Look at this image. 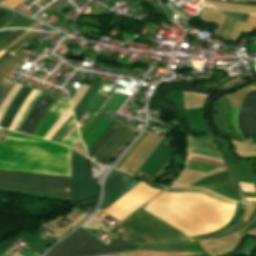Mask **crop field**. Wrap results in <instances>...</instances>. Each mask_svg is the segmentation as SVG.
Here are the masks:
<instances>
[{"label":"crop field","instance_id":"8a807250","mask_svg":"<svg viewBox=\"0 0 256 256\" xmlns=\"http://www.w3.org/2000/svg\"><path fill=\"white\" fill-rule=\"evenodd\" d=\"M0 169L70 177V149L8 131L0 144Z\"/></svg>","mask_w":256,"mask_h":256},{"label":"crop field","instance_id":"ac0d7876","mask_svg":"<svg viewBox=\"0 0 256 256\" xmlns=\"http://www.w3.org/2000/svg\"><path fill=\"white\" fill-rule=\"evenodd\" d=\"M162 193L199 194L237 208L236 202L218 196L207 190L196 188H164L161 193L154 196L128 218L119 223L120 225L130 230L122 239L132 245H154L191 239L190 237L186 236L185 234L181 233L180 231L176 230L175 228L171 227L162 220L142 209Z\"/></svg>","mask_w":256,"mask_h":256},{"label":"crop field","instance_id":"34b2d1b8","mask_svg":"<svg viewBox=\"0 0 256 256\" xmlns=\"http://www.w3.org/2000/svg\"><path fill=\"white\" fill-rule=\"evenodd\" d=\"M0 187L69 197V178L0 170Z\"/></svg>","mask_w":256,"mask_h":256},{"label":"crop field","instance_id":"412701ff","mask_svg":"<svg viewBox=\"0 0 256 256\" xmlns=\"http://www.w3.org/2000/svg\"><path fill=\"white\" fill-rule=\"evenodd\" d=\"M130 246L132 245L120 238L106 245L96 240L95 237L82 228H79L68 238L52 248L46 256H87L122 250Z\"/></svg>","mask_w":256,"mask_h":256},{"label":"crop field","instance_id":"f4fd0767","mask_svg":"<svg viewBox=\"0 0 256 256\" xmlns=\"http://www.w3.org/2000/svg\"><path fill=\"white\" fill-rule=\"evenodd\" d=\"M97 180L90 177L88 158L71 150V202L98 197Z\"/></svg>","mask_w":256,"mask_h":256},{"label":"crop field","instance_id":"dd49c442","mask_svg":"<svg viewBox=\"0 0 256 256\" xmlns=\"http://www.w3.org/2000/svg\"><path fill=\"white\" fill-rule=\"evenodd\" d=\"M158 192L141 181L103 212L122 221Z\"/></svg>","mask_w":256,"mask_h":256},{"label":"crop field","instance_id":"e52e79f7","mask_svg":"<svg viewBox=\"0 0 256 256\" xmlns=\"http://www.w3.org/2000/svg\"><path fill=\"white\" fill-rule=\"evenodd\" d=\"M137 131L138 129L121 124L116 132L99 148L91 159L108 165L133 138Z\"/></svg>","mask_w":256,"mask_h":256},{"label":"crop field","instance_id":"d8731c3e","mask_svg":"<svg viewBox=\"0 0 256 256\" xmlns=\"http://www.w3.org/2000/svg\"><path fill=\"white\" fill-rule=\"evenodd\" d=\"M240 130L256 139V90L245 97L238 116Z\"/></svg>","mask_w":256,"mask_h":256},{"label":"crop field","instance_id":"5a996713","mask_svg":"<svg viewBox=\"0 0 256 256\" xmlns=\"http://www.w3.org/2000/svg\"><path fill=\"white\" fill-rule=\"evenodd\" d=\"M55 99V96H51L48 94L43 93L41 97L37 100L33 108L31 109L30 113L28 114L25 122L19 129V132L31 135L33 129L35 128L37 122L44 114L46 109Z\"/></svg>","mask_w":256,"mask_h":256},{"label":"crop field","instance_id":"3316defc","mask_svg":"<svg viewBox=\"0 0 256 256\" xmlns=\"http://www.w3.org/2000/svg\"><path fill=\"white\" fill-rule=\"evenodd\" d=\"M187 139L199 142V143H196V142L187 141V151H190V152L195 151V152L219 155V153L216 150L214 144L206 143V142H203V141H200L198 139H195V138H192V137H188V136H187ZM219 159H220L222 164H221V166L219 168H216V169L205 167V166H201V165H197V164H193V163H189V162L186 163L185 167L186 168L195 169V170L210 172V171H213V170L220 169L224 165V163H223L222 159L220 158V156H219ZM188 161H190V160H188Z\"/></svg>","mask_w":256,"mask_h":256},{"label":"crop field","instance_id":"28ad6ade","mask_svg":"<svg viewBox=\"0 0 256 256\" xmlns=\"http://www.w3.org/2000/svg\"><path fill=\"white\" fill-rule=\"evenodd\" d=\"M158 136L147 133L146 136L141 140L137 147L132 153L126 158V160L120 165L118 170L129 171L135 164L143 157L146 151L152 146Z\"/></svg>","mask_w":256,"mask_h":256},{"label":"crop field","instance_id":"d1516ede","mask_svg":"<svg viewBox=\"0 0 256 256\" xmlns=\"http://www.w3.org/2000/svg\"><path fill=\"white\" fill-rule=\"evenodd\" d=\"M30 54L25 50L18 53L6 69L0 74V104L5 99L6 95L13 87L15 82L6 80L10 73Z\"/></svg>","mask_w":256,"mask_h":256},{"label":"crop field","instance_id":"22f410ed","mask_svg":"<svg viewBox=\"0 0 256 256\" xmlns=\"http://www.w3.org/2000/svg\"><path fill=\"white\" fill-rule=\"evenodd\" d=\"M70 107L69 100L65 103L57 101L56 104L52 107L47 117L38 127L34 136L43 138L49 128L53 125V123L61 116V114Z\"/></svg>","mask_w":256,"mask_h":256},{"label":"crop field","instance_id":"cbeb9de0","mask_svg":"<svg viewBox=\"0 0 256 256\" xmlns=\"http://www.w3.org/2000/svg\"><path fill=\"white\" fill-rule=\"evenodd\" d=\"M27 87L23 86L21 88V90L17 93L15 98L13 99L12 103L8 107V109H7L5 115H4V117H3V119L0 123L1 127H4L6 129L9 128V126H10L17 110L19 109L20 105L22 104V102L24 101L26 96L30 93V91L32 90V89L27 88Z\"/></svg>","mask_w":256,"mask_h":256},{"label":"crop field","instance_id":"5142ce71","mask_svg":"<svg viewBox=\"0 0 256 256\" xmlns=\"http://www.w3.org/2000/svg\"><path fill=\"white\" fill-rule=\"evenodd\" d=\"M254 27L256 28V14L251 13L246 23L238 21L236 22L230 39L235 42L236 39L239 37L241 30L251 32Z\"/></svg>","mask_w":256,"mask_h":256},{"label":"crop field","instance_id":"d9b57169","mask_svg":"<svg viewBox=\"0 0 256 256\" xmlns=\"http://www.w3.org/2000/svg\"><path fill=\"white\" fill-rule=\"evenodd\" d=\"M199 17H201L203 21H208V22H213V23H218V24L223 19L221 24L217 28L216 32L214 33V35H216V33L221 28L226 16H224L223 14H221L220 12H218L215 9L204 7L203 10L201 11V13L199 14Z\"/></svg>","mask_w":256,"mask_h":256},{"label":"crop field","instance_id":"733c2abd","mask_svg":"<svg viewBox=\"0 0 256 256\" xmlns=\"http://www.w3.org/2000/svg\"><path fill=\"white\" fill-rule=\"evenodd\" d=\"M204 5L225 8V9H231V10H237V11L256 13V7H253V6L227 4V3L215 2V1H210V0H204Z\"/></svg>","mask_w":256,"mask_h":256},{"label":"crop field","instance_id":"4a817a6b","mask_svg":"<svg viewBox=\"0 0 256 256\" xmlns=\"http://www.w3.org/2000/svg\"><path fill=\"white\" fill-rule=\"evenodd\" d=\"M110 120L102 118L95 129L88 135V137L83 141L86 148H88L100 135V133L105 130L110 123Z\"/></svg>","mask_w":256,"mask_h":256},{"label":"crop field","instance_id":"bc2a9ffb","mask_svg":"<svg viewBox=\"0 0 256 256\" xmlns=\"http://www.w3.org/2000/svg\"><path fill=\"white\" fill-rule=\"evenodd\" d=\"M35 20L24 17L20 14L15 16L12 20L6 23L3 27H24L28 28L31 24H33ZM1 27V28H3Z\"/></svg>","mask_w":256,"mask_h":256},{"label":"crop field","instance_id":"214f88e0","mask_svg":"<svg viewBox=\"0 0 256 256\" xmlns=\"http://www.w3.org/2000/svg\"><path fill=\"white\" fill-rule=\"evenodd\" d=\"M235 22H236L235 20L226 18L221 30L218 32V35L223 36L225 39L228 40Z\"/></svg>","mask_w":256,"mask_h":256},{"label":"crop field","instance_id":"92a150f3","mask_svg":"<svg viewBox=\"0 0 256 256\" xmlns=\"http://www.w3.org/2000/svg\"><path fill=\"white\" fill-rule=\"evenodd\" d=\"M165 140H169V138H165L161 141V143L158 145V147L155 149V151L152 153V155L149 157V159L145 162V164L140 168L141 171H145L146 168L153 162V160L157 157V155L160 153V151L163 149L162 144Z\"/></svg>","mask_w":256,"mask_h":256},{"label":"crop field","instance_id":"dafd665d","mask_svg":"<svg viewBox=\"0 0 256 256\" xmlns=\"http://www.w3.org/2000/svg\"><path fill=\"white\" fill-rule=\"evenodd\" d=\"M220 11H222L226 15H228L236 20L243 21V22L246 21L248 15H249V13L236 12V11H227V10H220Z\"/></svg>","mask_w":256,"mask_h":256},{"label":"crop field","instance_id":"00972430","mask_svg":"<svg viewBox=\"0 0 256 256\" xmlns=\"http://www.w3.org/2000/svg\"><path fill=\"white\" fill-rule=\"evenodd\" d=\"M26 30H17L14 33H12L11 35H9L6 39H4L1 43H0V51L2 50V48L7 45L9 42H11L12 40H14L16 37H18L19 35H21L23 32H25Z\"/></svg>","mask_w":256,"mask_h":256},{"label":"crop field","instance_id":"a9b5d70f","mask_svg":"<svg viewBox=\"0 0 256 256\" xmlns=\"http://www.w3.org/2000/svg\"><path fill=\"white\" fill-rule=\"evenodd\" d=\"M80 139L78 131L76 130L75 132H73L69 138L63 142V144H66L68 146H72L74 143H76L78 140Z\"/></svg>","mask_w":256,"mask_h":256},{"label":"crop field","instance_id":"4177f3b9","mask_svg":"<svg viewBox=\"0 0 256 256\" xmlns=\"http://www.w3.org/2000/svg\"><path fill=\"white\" fill-rule=\"evenodd\" d=\"M216 1L256 6V1H248V0H216Z\"/></svg>","mask_w":256,"mask_h":256},{"label":"crop field","instance_id":"730fd06b","mask_svg":"<svg viewBox=\"0 0 256 256\" xmlns=\"http://www.w3.org/2000/svg\"><path fill=\"white\" fill-rule=\"evenodd\" d=\"M42 94V92L39 91V93L36 95V97L33 99V101L31 102V104L29 105V107L27 108L25 114L23 115L16 131H18L19 127L21 126L22 122L24 121L25 117L27 116L29 110L31 109V107L34 105V103L36 102V100L40 97V95Z\"/></svg>","mask_w":256,"mask_h":256},{"label":"crop field","instance_id":"eef30255","mask_svg":"<svg viewBox=\"0 0 256 256\" xmlns=\"http://www.w3.org/2000/svg\"><path fill=\"white\" fill-rule=\"evenodd\" d=\"M238 110H239V107L230 111L229 114H230V119H231V122H232L235 130L239 134V131H238V128H237V125H236V115H237Z\"/></svg>","mask_w":256,"mask_h":256},{"label":"crop field","instance_id":"ae1a2a85","mask_svg":"<svg viewBox=\"0 0 256 256\" xmlns=\"http://www.w3.org/2000/svg\"><path fill=\"white\" fill-rule=\"evenodd\" d=\"M101 112V109H99L96 116L89 122V124L80 132L81 136L93 125V123L97 120L99 114Z\"/></svg>","mask_w":256,"mask_h":256},{"label":"crop field","instance_id":"d3111659","mask_svg":"<svg viewBox=\"0 0 256 256\" xmlns=\"http://www.w3.org/2000/svg\"><path fill=\"white\" fill-rule=\"evenodd\" d=\"M119 123H117V125L110 131V133L108 134V136L99 144V146L93 151L91 152L88 157L90 158L97 150L98 148L106 141V139L119 127Z\"/></svg>","mask_w":256,"mask_h":256},{"label":"crop field","instance_id":"750c4746","mask_svg":"<svg viewBox=\"0 0 256 256\" xmlns=\"http://www.w3.org/2000/svg\"><path fill=\"white\" fill-rule=\"evenodd\" d=\"M13 12L9 11V10H5V9H0V22L5 19L6 17H8L9 15H11Z\"/></svg>","mask_w":256,"mask_h":256},{"label":"crop field","instance_id":"bd1437ed","mask_svg":"<svg viewBox=\"0 0 256 256\" xmlns=\"http://www.w3.org/2000/svg\"><path fill=\"white\" fill-rule=\"evenodd\" d=\"M74 119L62 130V132L55 138V142L59 140V138L65 133V131L74 123Z\"/></svg>","mask_w":256,"mask_h":256},{"label":"crop field","instance_id":"1d83c4d3","mask_svg":"<svg viewBox=\"0 0 256 256\" xmlns=\"http://www.w3.org/2000/svg\"><path fill=\"white\" fill-rule=\"evenodd\" d=\"M105 113V111L103 110L99 119L95 122V124L86 132V134L81 138L82 141L85 139V137L90 133V131L96 126V124L100 121L101 117L103 116V114Z\"/></svg>","mask_w":256,"mask_h":256},{"label":"crop field","instance_id":"120bbe31","mask_svg":"<svg viewBox=\"0 0 256 256\" xmlns=\"http://www.w3.org/2000/svg\"><path fill=\"white\" fill-rule=\"evenodd\" d=\"M15 30L12 31H4V32H0V42L7 37L9 34H11L12 32H14Z\"/></svg>","mask_w":256,"mask_h":256},{"label":"crop field","instance_id":"d32e631a","mask_svg":"<svg viewBox=\"0 0 256 256\" xmlns=\"http://www.w3.org/2000/svg\"><path fill=\"white\" fill-rule=\"evenodd\" d=\"M22 49H19L5 64L4 66L0 69V73L5 69V67L10 63V61L13 59V57Z\"/></svg>","mask_w":256,"mask_h":256},{"label":"crop field","instance_id":"5866460e","mask_svg":"<svg viewBox=\"0 0 256 256\" xmlns=\"http://www.w3.org/2000/svg\"><path fill=\"white\" fill-rule=\"evenodd\" d=\"M113 123H114V121H112V122L109 124L108 128H109ZM108 128H107V129H108ZM107 129L102 132L101 136L89 147V149L87 150V152L96 144V142L102 137V135L107 131Z\"/></svg>","mask_w":256,"mask_h":256},{"label":"crop field","instance_id":"028f5c9d","mask_svg":"<svg viewBox=\"0 0 256 256\" xmlns=\"http://www.w3.org/2000/svg\"><path fill=\"white\" fill-rule=\"evenodd\" d=\"M40 33L36 32L26 43L29 45Z\"/></svg>","mask_w":256,"mask_h":256},{"label":"crop field","instance_id":"e1f06a70","mask_svg":"<svg viewBox=\"0 0 256 256\" xmlns=\"http://www.w3.org/2000/svg\"><path fill=\"white\" fill-rule=\"evenodd\" d=\"M13 54H9L1 63L0 68L3 66V64L12 56Z\"/></svg>","mask_w":256,"mask_h":256},{"label":"crop field","instance_id":"0bd39190","mask_svg":"<svg viewBox=\"0 0 256 256\" xmlns=\"http://www.w3.org/2000/svg\"><path fill=\"white\" fill-rule=\"evenodd\" d=\"M75 126H76V124H74L73 126H71V127L67 130V132H66L64 135H66L68 132H70ZM64 135H63V136H64ZM63 136H62V137H63ZM62 137H61V139H62ZM61 139H60V140H61ZM60 140H59V141H60ZM59 141H58V143H59Z\"/></svg>","mask_w":256,"mask_h":256},{"label":"crop field","instance_id":"b80d0937","mask_svg":"<svg viewBox=\"0 0 256 256\" xmlns=\"http://www.w3.org/2000/svg\"><path fill=\"white\" fill-rule=\"evenodd\" d=\"M35 32L30 33L28 36H26L24 39L25 42L34 34Z\"/></svg>","mask_w":256,"mask_h":256},{"label":"crop field","instance_id":"c035e120","mask_svg":"<svg viewBox=\"0 0 256 256\" xmlns=\"http://www.w3.org/2000/svg\"><path fill=\"white\" fill-rule=\"evenodd\" d=\"M8 55V53H4L1 57H0V62Z\"/></svg>","mask_w":256,"mask_h":256},{"label":"crop field","instance_id":"c21b1889","mask_svg":"<svg viewBox=\"0 0 256 256\" xmlns=\"http://www.w3.org/2000/svg\"><path fill=\"white\" fill-rule=\"evenodd\" d=\"M3 53H4V52H3V51H1V52H0V56H1Z\"/></svg>","mask_w":256,"mask_h":256},{"label":"crop field","instance_id":"03da06ac","mask_svg":"<svg viewBox=\"0 0 256 256\" xmlns=\"http://www.w3.org/2000/svg\"><path fill=\"white\" fill-rule=\"evenodd\" d=\"M3 0H0V2H2Z\"/></svg>","mask_w":256,"mask_h":256}]
</instances>
